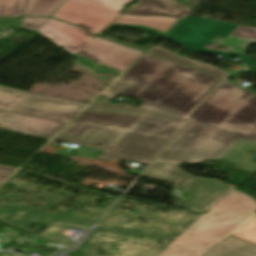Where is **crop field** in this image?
Segmentation results:
<instances>
[{"label":"crop field","instance_id":"obj_1","mask_svg":"<svg viewBox=\"0 0 256 256\" xmlns=\"http://www.w3.org/2000/svg\"><path fill=\"white\" fill-rule=\"evenodd\" d=\"M188 122L123 103H93L54 140L105 150L98 159L148 164Z\"/></svg>","mask_w":256,"mask_h":256},{"label":"crop field","instance_id":"obj_2","mask_svg":"<svg viewBox=\"0 0 256 256\" xmlns=\"http://www.w3.org/2000/svg\"><path fill=\"white\" fill-rule=\"evenodd\" d=\"M193 122L156 158L218 160L239 138L256 141V95L224 81L192 114Z\"/></svg>","mask_w":256,"mask_h":256},{"label":"crop field","instance_id":"obj_3","mask_svg":"<svg viewBox=\"0 0 256 256\" xmlns=\"http://www.w3.org/2000/svg\"><path fill=\"white\" fill-rule=\"evenodd\" d=\"M220 81L196 68L146 54L102 96L137 98L145 101L142 107L185 117Z\"/></svg>","mask_w":256,"mask_h":256},{"label":"crop field","instance_id":"obj_4","mask_svg":"<svg viewBox=\"0 0 256 256\" xmlns=\"http://www.w3.org/2000/svg\"><path fill=\"white\" fill-rule=\"evenodd\" d=\"M255 209L253 199L234 190L208 214L198 217L158 256H201L253 215Z\"/></svg>","mask_w":256,"mask_h":256},{"label":"crop field","instance_id":"obj_5","mask_svg":"<svg viewBox=\"0 0 256 256\" xmlns=\"http://www.w3.org/2000/svg\"><path fill=\"white\" fill-rule=\"evenodd\" d=\"M85 106L26 94L0 116V128L51 139Z\"/></svg>","mask_w":256,"mask_h":256},{"label":"crop field","instance_id":"obj_6","mask_svg":"<svg viewBox=\"0 0 256 256\" xmlns=\"http://www.w3.org/2000/svg\"><path fill=\"white\" fill-rule=\"evenodd\" d=\"M189 12L190 11L188 9L184 8L173 0H141L137 5L132 7L129 11H126L124 14L164 15L168 17L184 19ZM180 21V19H173L167 17H140L131 15H120L110 26H127L147 29L154 33L165 36ZM110 26H108L97 36L106 38L104 36H101V34H103Z\"/></svg>","mask_w":256,"mask_h":256},{"label":"crop field","instance_id":"obj_7","mask_svg":"<svg viewBox=\"0 0 256 256\" xmlns=\"http://www.w3.org/2000/svg\"><path fill=\"white\" fill-rule=\"evenodd\" d=\"M237 27V25L214 22L187 15L186 18L165 37L187 50L219 54V57L222 59H228L230 58V55H237L246 63L254 64V62L246 55L225 53L203 48V46L216 35L227 37Z\"/></svg>","mask_w":256,"mask_h":256},{"label":"crop field","instance_id":"obj_8","mask_svg":"<svg viewBox=\"0 0 256 256\" xmlns=\"http://www.w3.org/2000/svg\"><path fill=\"white\" fill-rule=\"evenodd\" d=\"M142 53V51L94 37L75 56L78 57L77 61L91 70L120 74Z\"/></svg>","mask_w":256,"mask_h":256},{"label":"crop field","instance_id":"obj_9","mask_svg":"<svg viewBox=\"0 0 256 256\" xmlns=\"http://www.w3.org/2000/svg\"><path fill=\"white\" fill-rule=\"evenodd\" d=\"M119 15L111 10L65 0L51 17L78 25L97 35Z\"/></svg>","mask_w":256,"mask_h":256},{"label":"crop field","instance_id":"obj_10","mask_svg":"<svg viewBox=\"0 0 256 256\" xmlns=\"http://www.w3.org/2000/svg\"><path fill=\"white\" fill-rule=\"evenodd\" d=\"M235 188L234 185L196 178L185 191L190 197L181 206L204 213Z\"/></svg>","mask_w":256,"mask_h":256},{"label":"crop field","instance_id":"obj_11","mask_svg":"<svg viewBox=\"0 0 256 256\" xmlns=\"http://www.w3.org/2000/svg\"><path fill=\"white\" fill-rule=\"evenodd\" d=\"M38 31L71 55L93 38L80 28L50 18L43 23Z\"/></svg>","mask_w":256,"mask_h":256},{"label":"crop field","instance_id":"obj_12","mask_svg":"<svg viewBox=\"0 0 256 256\" xmlns=\"http://www.w3.org/2000/svg\"><path fill=\"white\" fill-rule=\"evenodd\" d=\"M155 162H161V164L155 165ZM180 164L181 163L179 162L154 160L142 176L173 183L176 189L183 190L188 181L194 176L179 169L178 166ZM183 179L186 180L183 186L181 188L176 187V185Z\"/></svg>","mask_w":256,"mask_h":256},{"label":"crop field","instance_id":"obj_13","mask_svg":"<svg viewBox=\"0 0 256 256\" xmlns=\"http://www.w3.org/2000/svg\"><path fill=\"white\" fill-rule=\"evenodd\" d=\"M205 256H256V246L230 237Z\"/></svg>","mask_w":256,"mask_h":256},{"label":"crop field","instance_id":"obj_14","mask_svg":"<svg viewBox=\"0 0 256 256\" xmlns=\"http://www.w3.org/2000/svg\"><path fill=\"white\" fill-rule=\"evenodd\" d=\"M250 42L256 43V29L239 26L221 44L229 47L231 52L244 54Z\"/></svg>","mask_w":256,"mask_h":256},{"label":"crop field","instance_id":"obj_15","mask_svg":"<svg viewBox=\"0 0 256 256\" xmlns=\"http://www.w3.org/2000/svg\"><path fill=\"white\" fill-rule=\"evenodd\" d=\"M64 0H26L23 16H50Z\"/></svg>","mask_w":256,"mask_h":256},{"label":"crop field","instance_id":"obj_16","mask_svg":"<svg viewBox=\"0 0 256 256\" xmlns=\"http://www.w3.org/2000/svg\"><path fill=\"white\" fill-rule=\"evenodd\" d=\"M149 52H152V53H155V54H158V55L170 58V59H174V60L189 64V65H192V66H195V67H198V68H202V69H204V70H206L210 73H213L217 76H220L222 78H224L227 74H229L226 71H223L221 69L202 64V63L197 62V61L181 58V57L171 53L170 51H168L164 48L158 47V46L153 47L151 50H149Z\"/></svg>","mask_w":256,"mask_h":256},{"label":"crop field","instance_id":"obj_17","mask_svg":"<svg viewBox=\"0 0 256 256\" xmlns=\"http://www.w3.org/2000/svg\"><path fill=\"white\" fill-rule=\"evenodd\" d=\"M25 0H0V16H22Z\"/></svg>","mask_w":256,"mask_h":256},{"label":"crop field","instance_id":"obj_18","mask_svg":"<svg viewBox=\"0 0 256 256\" xmlns=\"http://www.w3.org/2000/svg\"><path fill=\"white\" fill-rule=\"evenodd\" d=\"M232 235L256 243V217L248 220L234 233H232Z\"/></svg>","mask_w":256,"mask_h":256},{"label":"crop field","instance_id":"obj_19","mask_svg":"<svg viewBox=\"0 0 256 256\" xmlns=\"http://www.w3.org/2000/svg\"><path fill=\"white\" fill-rule=\"evenodd\" d=\"M25 94L0 87V110L6 111Z\"/></svg>","mask_w":256,"mask_h":256},{"label":"crop field","instance_id":"obj_20","mask_svg":"<svg viewBox=\"0 0 256 256\" xmlns=\"http://www.w3.org/2000/svg\"><path fill=\"white\" fill-rule=\"evenodd\" d=\"M120 12L132 0H75Z\"/></svg>","mask_w":256,"mask_h":256},{"label":"crop field","instance_id":"obj_21","mask_svg":"<svg viewBox=\"0 0 256 256\" xmlns=\"http://www.w3.org/2000/svg\"><path fill=\"white\" fill-rule=\"evenodd\" d=\"M46 19L41 17L22 18L21 26L37 30Z\"/></svg>","mask_w":256,"mask_h":256},{"label":"crop field","instance_id":"obj_22","mask_svg":"<svg viewBox=\"0 0 256 256\" xmlns=\"http://www.w3.org/2000/svg\"><path fill=\"white\" fill-rule=\"evenodd\" d=\"M21 22L20 19H9V18H0V28L3 27H19Z\"/></svg>","mask_w":256,"mask_h":256},{"label":"crop field","instance_id":"obj_23","mask_svg":"<svg viewBox=\"0 0 256 256\" xmlns=\"http://www.w3.org/2000/svg\"><path fill=\"white\" fill-rule=\"evenodd\" d=\"M14 168L2 167L0 166V185L8 179L15 171Z\"/></svg>","mask_w":256,"mask_h":256},{"label":"crop field","instance_id":"obj_24","mask_svg":"<svg viewBox=\"0 0 256 256\" xmlns=\"http://www.w3.org/2000/svg\"><path fill=\"white\" fill-rule=\"evenodd\" d=\"M2 113H4V111H0V115H1Z\"/></svg>","mask_w":256,"mask_h":256}]
</instances>
